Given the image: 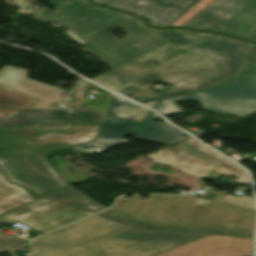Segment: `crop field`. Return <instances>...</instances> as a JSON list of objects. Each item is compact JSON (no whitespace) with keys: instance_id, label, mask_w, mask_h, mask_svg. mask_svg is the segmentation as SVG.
<instances>
[{"instance_id":"1","label":"crop field","mask_w":256,"mask_h":256,"mask_svg":"<svg viewBox=\"0 0 256 256\" xmlns=\"http://www.w3.org/2000/svg\"><path fill=\"white\" fill-rule=\"evenodd\" d=\"M255 49L253 43L192 31L90 80L114 91L149 71L140 64L152 58L164 64L132 84L150 88L161 80L174 87L164 94L132 85L117 92L159 99L210 88L242 73Z\"/></svg>"},{"instance_id":"2","label":"crop field","mask_w":256,"mask_h":256,"mask_svg":"<svg viewBox=\"0 0 256 256\" xmlns=\"http://www.w3.org/2000/svg\"><path fill=\"white\" fill-rule=\"evenodd\" d=\"M101 127L102 123L0 130V170L34 200L67 188L71 185L46 156L99 139Z\"/></svg>"},{"instance_id":"3","label":"crop field","mask_w":256,"mask_h":256,"mask_svg":"<svg viewBox=\"0 0 256 256\" xmlns=\"http://www.w3.org/2000/svg\"><path fill=\"white\" fill-rule=\"evenodd\" d=\"M27 2L32 0H25ZM56 9V13L37 14L44 21H57L69 27L84 40L110 31L120 26L128 37L120 40L107 33L84 42L71 31H65L72 39L98 57L110 68L133 58L151 48L180 36L187 30H156L144 26L143 21L127 14L89 5L85 0H46ZM67 3H70L67 5ZM132 37H136L133 39ZM144 37L149 38L146 40ZM116 41H119L116 43ZM139 46H135L136 44ZM155 43L153 46L151 44Z\"/></svg>"},{"instance_id":"4","label":"crop field","mask_w":256,"mask_h":256,"mask_svg":"<svg viewBox=\"0 0 256 256\" xmlns=\"http://www.w3.org/2000/svg\"><path fill=\"white\" fill-rule=\"evenodd\" d=\"M206 235L142 231L98 214L33 241V256H154Z\"/></svg>"},{"instance_id":"5","label":"crop field","mask_w":256,"mask_h":256,"mask_svg":"<svg viewBox=\"0 0 256 256\" xmlns=\"http://www.w3.org/2000/svg\"><path fill=\"white\" fill-rule=\"evenodd\" d=\"M206 192L218 196L212 202L187 196L153 195L146 200L139 198L140 195L132 199L124 196L111 209L170 231L253 238L256 211L220 201L226 193L211 189Z\"/></svg>"},{"instance_id":"6","label":"crop field","mask_w":256,"mask_h":256,"mask_svg":"<svg viewBox=\"0 0 256 256\" xmlns=\"http://www.w3.org/2000/svg\"><path fill=\"white\" fill-rule=\"evenodd\" d=\"M28 70L5 65L0 70V85L38 99L10 119L2 122L0 128L37 123H89L103 122L105 112L82 108L88 82L81 79L68 97L72 106L67 109L50 107L64 101L61 90L27 78Z\"/></svg>"},{"instance_id":"7","label":"crop field","mask_w":256,"mask_h":256,"mask_svg":"<svg viewBox=\"0 0 256 256\" xmlns=\"http://www.w3.org/2000/svg\"><path fill=\"white\" fill-rule=\"evenodd\" d=\"M196 98L204 108L239 115L256 110V56L248 71L233 80L217 87L183 96L161 100L157 106L165 116L182 112L172 104L173 100Z\"/></svg>"},{"instance_id":"8","label":"crop field","mask_w":256,"mask_h":256,"mask_svg":"<svg viewBox=\"0 0 256 256\" xmlns=\"http://www.w3.org/2000/svg\"><path fill=\"white\" fill-rule=\"evenodd\" d=\"M146 158L203 179L212 169L238 182H250L248 174L231 161L219 156L197 140L191 138L174 148L168 147Z\"/></svg>"},{"instance_id":"9","label":"crop field","mask_w":256,"mask_h":256,"mask_svg":"<svg viewBox=\"0 0 256 256\" xmlns=\"http://www.w3.org/2000/svg\"><path fill=\"white\" fill-rule=\"evenodd\" d=\"M183 26L250 37L256 32V0H215Z\"/></svg>"},{"instance_id":"10","label":"crop field","mask_w":256,"mask_h":256,"mask_svg":"<svg viewBox=\"0 0 256 256\" xmlns=\"http://www.w3.org/2000/svg\"><path fill=\"white\" fill-rule=\"evenodd\" d=\"M93 214L60 202L40 198L36 201L0 214V222H19L46 233L76 219Z\"/></svg>"},{"instance_id":"11","label":"crop field","mask_w":256,"mask_h":256,"mask_svg":"<svg viewBox=\"0 0 256 256\" xmlns=\"http://www.w3.org/2000/svg\"><path fill=\"white\" fill-rule=\"evenodd\" d=\"M137 105L110 95L100 139L72 149L99 153L127 143ZM123 121L124 123H112Z\"/></svg>"},{"instance_id":"12","label":"crop field","mask_w":256,"mask_h":256,"mask_svg":"<svg viewBox=\"0 0 256 256\" xmlns=\"http://www.w3.org/2000/svg\"><path fill=\"white\" fill-rule=\"evenodd\" d=\"M253 240L209 235L157 256H252Z\"/></svg>"},{"instance_id":"13","label":"crop field","mask_w":256,"mask_h":256,"mask_svg":"<svg viewBox=\"0 0 256 256\" xmlns=\"http://www.w3.org/2000/svg\"><path fill=\"white\" fill-rule=\"evenodd\" d=\"M149 17L154 24L171 25L199 0H94Z\"/></svg>"},{"instance_id":"14","label":"crop field","mask_w":256,"mask_h":256,"mask_svg":"<svg viewBox=\"0 0 256 256\" xmlns=\"http://www.w3.org/2000/svg\"><path fill=\"white\" fill-rule=\"evenodd\" d=\"M160 118L156 113H151L146 123H135L131 135L134 140L155 141L166 144H174L178 141L186 139L182 131L165 123L153 122L154 119Z\"/></svg>"},{"instance_id":"15","label":"crop field","mask_w":256,"mask_h":256,"mask_svg":"<svg viewBox=\"0 0 256 256\" xmlns=\"http://www.w3.org/2000/svg\"><path fill=\"white\" fill-rule=\"evenodd\" d=\"M33 201L25 189L11 184L0 171V213Z\"/></svg>"},{"instance_id":"16","label":"crop field","mask_w":256,"mask_h":256,"mask_svg":"<svg viewBox=\"0 0 256 256\" xmlns=\"http://www.w3.org/2000/svg\"><path fill=\"white\" fill-rule=\"evenodd\" d=\"M35 100L36 99L0 86V123Z\"/></svg>"},{"instance_id":"17","label":"crop field","mask_w":256,"mask_h":256,"mask_svg":"<svg viewBox=\"0 0 256 256\" xmlns=\"http://www.w3.org/2000/svg\"><path fill=\"white\" fill-rule=\"evenodd\" d=\"M51 199H55L61 202L69 203L75 206H79L82 208L89 209L91 211L97 212L101 211L106 206L98 203L94 199L90 198L89 196L69 187L67 189H64L62 191L56 192L54 194H51L49 196H46Z\"/></svg>"},{"instance_id":"18","label":"crop field","mask_w":256,"mask_h":256,"mask_svg":"<svg viewBox=\"0 0 256 256\" xmlns=\"http://www.w3.org/2000/svg\"><path fill=\"white\" fill-rule=\"evenodd\" d=\"M99 214H101L103 216H106L110 219H113L117 222L124 223V224H127V225H131V226L141 228V229L165 230V229L160 228L158 226H155L153 224H150V223H147L145 221L133 218L131 216L116 212V211L111 210V209L103 211ZM166 231H168V230H166Z\"/></svg>"},{"instance_id":"19","label":"crop field","mask_w":256,"mask_h":256,"mask_svg":"<svg viewBox=\"0 0 256 256\" xmlns=\"http://www.w3.org/2000/svg\"><path fill=\"white\" fill-rule=\"evenodd\" d=\"M212 1L214 0H200L187 12H185L178 20H176L172 25L182 26L184 23H186L189 19H191L194 15H196L199 11L205 8Z\"/></svg>"},{"instance_id":"20","label":"crop field","mask_w":256,"mask_h":256,"mask_svg":"<svg viewBox=\"0 0 256 256\" xmlns=\"http://www.w3.org/2000/svg\"><path fill=\"white\" fill-rule=\"evenodd\" d=\"M27 242L29 241L7 235L0 231V253Z\"/></svg>"},{"instance_id":"21","label":"crop field","mask_w":256,"mask_h":256,"mask_svg":"<svg viewBox=\"0 0 256 256\" xmlns=\"http://www.w3.org/2000/svg\"><path fill=\"white\" fill-rule=\"evenodd\" d=\"M222 200L230 202V203H234V204H237V205H240V206H244V207H247V208L255 209L254 200H251V198H249V197H245V196L232 197V196L227 195Z\"/></svg>"},{"instance_id":"22","label":"crop field","mask_w":256,"mask_h":256,"mask_svg":"<svg viewBox=\"0 0 256 256\" xmlns=\"http://www.w3.org/2000/svg\"><path fill=\"white\" fill-rule=\"evenodd\" d=\"M148 113H149V110H147L141 106H138L134 121H144L145 117L147 116Z\"/></svg>"},{"instance_id":"23","label":"crop field","mask_w":256,"mask_h":256,"mask_svg":"<svg viewBox=\"0 0 256 256\" xmlns=\"http://www.w3.org/2000/svg\"><path fill=\"white\" fill-rule=\"evenodd\" d=\"M17 5L21 6L22 8H24L25 10H27V6H29L28 4L20 1V0H15V2Z\"/></svg>"},{"instance_id":"24","label":"crop field","mask_w":256,"mask_h":256,"mask_svg":"<svg viewBox=\"0 0 256 256\" xmlns=\"http://www.w3.org/2000/svg\"><path fill=\"white\" fill-rule=\"evenodd\" d=\"M157 101H154V102H149V103H144V105H147L151 108H154L155 104H156Z\"/></svg>"},{"instance_id":"25","label":"crop field","mask_w":256,"mask_h":256,"mask_svg":"<svg viewBox=\"0 0 256 256\" xmlns=\"http://www.w3.org/2000/svg\"><path fill=\"white\" fill-rule=\"evenodd\" d=\"M250 38L256 39V33L252 37H250Z\"/></svg>"},{"instance_id":"26","label":"crop field","mask_w":256,"mask_h":256,"mask_svg":"<svg viewBox=\"0 0 256 256\" xmlns=\"http://www.w3.org/2000/svg\"><path fill=\"white\" fill-rule=\"evenodd\" d=\"M0 1H2V0H0Z\"/></svg>"}]
</instances>
